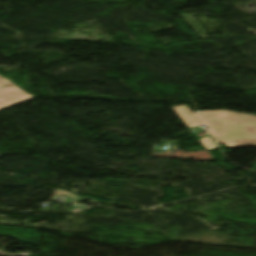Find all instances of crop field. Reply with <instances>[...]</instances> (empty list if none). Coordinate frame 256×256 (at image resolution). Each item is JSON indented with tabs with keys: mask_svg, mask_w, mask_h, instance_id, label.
<instances>
[{
	"mask_svg": "<svg viewBox=\"0 0 256 256\" xmlns=\"http://www.w3.org/2000/svg\"><path fill=\"white\" fill-rule=\"evenodd\" d=\"M33 98L0 76V111Z\"/></svg>",
	"mask_w": 256,
	"mask_h": 256,
	"instance_id": "ac0d7876",
	"label": "crop field"
},
{
	"mask_svg": "<svg viewBox=\"0 0 256 256\" xmlns=\"http://www.w3.org/2000/svg\"><path fill=\"white\" fill-rule=\"evenodd\" d=\"M188 127L204 124L207 133L227 147L256 146V117L228 110L191 112L187 106L171 107Z\"/></svg>",
	"mask_w": 256,
	"mask_h": 256,
	"instance_id": "8a807250",
	"label": "crop field"
},
{
	"mask_svg": "<svg viewBox=\"0 0 256 256\" xmlns=\"http://www.w3.org/2000/svg\"><path fill=\"white\" fill-rule=\"evenodd\" d=\"M199 141L207 151L218 148L209 137L199 139Z\"/></svg>",
	"mask_w": 256,
	"mask_h": 256,
	"instance_id": "34b2d1b8",
	"label": "crop field"
}]
</instances>
